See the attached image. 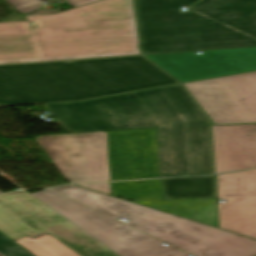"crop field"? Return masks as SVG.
Returning <instances> with one entry per match:
<instances>
[{"instance_id":"8a807250","label":"crop field","mask_w":256,"mask_h":256,"mask_svg":"<svg viewBox=\"0 0 256 256\" xmlns=\"http://www.w3.org/2000/svg\"><path fill=\"white\" fill-rule=\"evenodd\" d=\"M53 190L195 256H256L252 238L74 185ZM31 194L119 256L188 255L49 189Z\"/></svg>"},{"instance_id":"ac0d7876","label":"crop field","mask_w":256,"mask_h":256,"mask_svg":"<svg viewBox=\"0 0 256 256\" xmlns=\"http://www.w3.org/2000/svg\"><path fill=\"white\" fill-rule=\"evenodd\" d=\"M45 106L70 133L156 128L161 177L213 174L211 122L182 85Z\"/></svg>"},{"instance_id":"34b2d1b8","label":"crop field","mask_w":256,"mask_h":256,"mask_svg":"<svg viewBox=\"0 0 256 256\" xmlns=\"http://www.w3.org/2000/svg\"><path fill=\"white\" fill-rule=\"evenodd\" d=\"M177 83L142 56L0 66V105L76 101Z\"/></svg>"},{"instance_id":"412701ff","label":"crop field","mask_w":256,"mask_h":256,"mask_svg":"<svg viewBox=\"0 0 256 256\" xmlns=\"http://www.w3.org/2000/svg\"><path fill=\"white\" fill-rule=\"evenodd\" d=\"M134 0L143 54L256 47V0Z\"/></svg>"},{"instance_id":"f4fd0767","label":"crop field","mask_w":256,"mask_h":256,"mask_svg":"<svg viewBox=\"0 0 256 256\" xmlns=\"http://www.w3.org/2000/svg\"><path fill=\"white\" fill-rule=\"evenodd\" d=\"M45 61L140 54L131 0H105L30 16Z\"/></svg>"},{"instance_id":"dd49c442","label":"crop field","mask_w":256,"mask_h":256,"mask_svg":"<svg viewBox=\"0 0 256 256\" xmlns=\"http://www.w3.org/2000/svg\"><path fill=\"white\" fill-rule=\"evenodd\" d=\"M0 231L13 240L49 233L80 256H118L25 191L0 195Z\"/></svg>"},{"instance_id":"e52e79f7","label":"crop field","mask_w":256,"mask_h":256,"mask_svg":"<svg viewBox=\"0 0 256 256\" xmlns=\"http://www.w3.org/2000/svg\"><path fill=\"white\" fill-rule=\"evenodd\" d=\"M70 183L109 181L106 132L35 139Z\"/></svg>"},{"instance_id":"d8731c3e","label":"crop field","mask_w":256,"mask_h":256,"mask_svg":"<svg viewBox=\"0 0 256 256\" xmlns=\"http://www.w3.org/2000/svg\"><path fill=\"white\" fill-rule=\"evenodd\" d=\"M184 85L214 124L256 122V73Z\"/></svg>"},{"instance_id":"5a996713","label":"crop field","mask_w":256,"mask_h":256,"mask_svg":"<svg viewBox=\"0 0 256 256\" xmlns=\"http://www.w3.org/2000/svg\"><path fill=\"white\" fill-rule=\"evenodd\" d=\"M146 56L179 82L222 77L256 70V48Z\"/></svg>"},{"instance_id":"3316defc","label":"crop field","mask_w":256,"mask_h":256,"mask_svg":"<svg viewBox=\"0 0 256 256\" xmlns=\"http://www.w3.org/2000/svg\"><path fill=\"white\" fill-rule=\"evenodd\" d=\"M110 181L160 178L155 129L107 132Z\"/></svg>"},{"instance_id":"28ad6ade","label":"crop field","mask_w":256,"mask_h":256,"mask_svg":"<svg viewBox=\"0 0 256 256\" xmlns=\"http://www.w3.org/2000/svg\"><path fill=\"white\" fill-rule=\"evenodd\" d=\"M220 228L256 239V170L216 176Z\"/></svg>"},{"instance_id":"d1516ede","label":"crop field","mask_w":256,"mask_h":256,"mask_svg":"<svg viewBox=\"0 0 256 256\" xmlns=\"http://www.w3.org/2000/svg\"><path fill=\"white\" fill-rule=\"evenodd\" d=\"M215 174L256 168V124L211 126Z\"/></svg>"},{"instance_id":"22f410ed","label":"crop field","mask_w":256,"mask_h":256,"mask_svg":"<svg viewBox=\"0 0 256 256\" xmlns=\"http://www.w3.org/2000/svg\"><path fill=\"white\" fill-rule=\"evenodd\" d=\"M44 61L27 21L0 24V63Z\"/></svg>"},{"instance_id":"cbeb9de0","label":"crop field","mask_w":256,"mask_h":256,"mask_svg":"<svg viewBox=\"0 0 256 256\" xmlns=\"http://www.w3.org/2000/svg\"><path fill=\"white\" fill-rule=\"evenodd\" d=\"M134 202L218 228L215 199L148 200Z\"/></svg>"},{"instance_id":"5142ce71","label":"crop field","mask_w":256,"mask_h":256,"mask_svg":"<svg viewBox=\"0 0 256 256\" xmlns=\"http://www.w3.org/2000/svg\"><path fill=\"white\" fill-rule=\"evenodd\" d=\"M165 199L215 198L213 176L163 179Z\"/></svg>"},{"instance_id":"d9b57169","label":"crop field","mask_w":256,"mask_h":256,"mask_svg":"<svg viewBox=\"0 0 256 256\" xmlns=\"http://www.w3.org/2000/svg\"><path fill=\"white\" fill-rule=\"evenodd\" d=\"M112 195L126 200L162 199L160 179L111 183Z\"/></svg>"},{"instance_id":"733c2abd","label":"crop field","mask_w":256,"mask_h":256,"mask_svg":"<svg viewBox=\"0 0 256 256\" xmlns=\"http://www.w3.org/2000/svg\"><path fill=\"white\" fill-rule=\"evenodd\" d=\"M35 256H79L49 234L15 240Z\"/></svg>"},{"instance_id":"4a817a6b","label":"crop field","mask_w":256,"mask_h":256,"mask_svg":"<svg viewBox=\"0 0 256 256\" xmlns=\"http://www.w3.org/2000/svg\"><path fill=\"white\" fill-rule=\"evenodd\" d=\"M0 253L4 256H32L16 243L0 233Z\"/></svg>"},{"instance_id":"bc2a9ffb","label":"crop field","mask_w":256,"mask_h":256,"mask_svg":"<svg viewBox=\"0 0 256 256\" xmlns=\"http://www.w3.org/2000/svg\"><path fill=\"white\" fill-rule=\"evenodd\" d=\"M21 13L35 11L42 7L41 0H6Z\"/></svg>"},{"instance_id":"214f88e0","label":"crop field","mask_w":256,"mask_h":256,"mask_svg":"<svg viewBox=\"0 0 256 256\" xmlns=\"http://www.w3.org/2000/svg\"><path fill=\"white\" fill-rule=\"evenodd\" d=\"M85 188H89L95 191H99L105 194L110 195V183H101V184H75Z\"/></svg>"},{"instance_id":"92a150f3","label":"crop field","mask_w":256,"mask_h":256,"mask_svg":"<svg viewBox=\"0 0 256 256\" xmlns=\"http://www.w3.org/2000/svg\"><path fill=\"white\" fill-rule=\"evenodd\" d=\"M63 1H65L70 6L74 7V6L90 3L97 0H63Z\"/></svg>"},{"instance_id":"dafd665d","label":"crop field","mask_w":256,"mask_h":256,"mask_svg":"<svg viewBox=\"0 0 256 256\" xmlns=\"http://www.w3.org/2000/svg\"><path fill=\"white\" fill-rule=\"evenodd\" d=\"M0 256H2V255L0 254Z\"/></svg>"}]
</instances>
